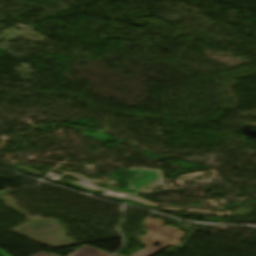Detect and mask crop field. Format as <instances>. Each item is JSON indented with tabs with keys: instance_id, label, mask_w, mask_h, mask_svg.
<instances>
[{
	"instance_id": "obj_1",
	"label": "crop field",
	"mask_w": 256,
	"mask_h": 256,
	"mask_svg": "<svg viewBox=\"0 0 256 256\" xmlns=\"http://www.w3.org/2000/svg\"><path fill=\"white\" fill-rule=\"evenodd\" d=\"M164 224V221L148 218L144 226L149 230L141 238L147 247L133 256H151L168 246L178 245L184 233L170 226L162 228ZM169 239L172 240L168 241ZM157 242L162 243L160 247L153 246Z\"/></svg>"
},
{
	"instance_id": "obj_2",
	"label": "crop field",
	"mask_w": 256,
	"mask_h": 256,
	"mask_svg": "<svg viewBox=\"0 0 256 256\" xmlns=\"http://www.w3.org/2000/svg\"><path fill=\"white\" fill-rule=\"evenodd\" d=\"M111 254L112 253L110 252H107L98 248H94L88 245H84L83 247H81L80 249L76 250L75 252H73L68 256H109ZM35 256H58V255L39 252Z\"/></svg>"
},
{
	"instance_id": "obj_3",
	"label": "crop field",
	"mask_w": 256,
	"mask_h": 256,
	"mask_svg": "<svg viewBox=\"0 0 256 256\" xmlns=\"http://www.w3.org/2000/svg\"><path fill=\"white\" fill-rule=\"evenodd\" d=\"M0 256H9L2 248H0Z\"/></svg>"
}]
</instances>
